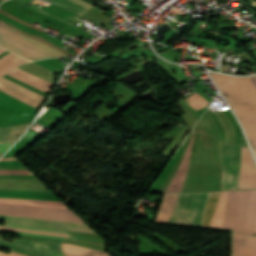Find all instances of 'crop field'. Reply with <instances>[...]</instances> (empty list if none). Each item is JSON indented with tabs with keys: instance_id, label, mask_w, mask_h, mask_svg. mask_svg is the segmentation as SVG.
<instances>
[{
	"instance_id": "8a807250",
	"label": "crop field",
	"mask_w": 256,
	"mask_h": 256,
	"mask_svg": "<svg viewBox=\"0 0 256 256\" xmlns=\"http://www.w3.org/2000/svg\"><path fill=\"white\" fill-rule=\"evenodd\" d=\"M235 110L252 147H256V76L233 77L210 73Z\"/></svg>"
},
{
	"instance_id": "ac0d7876",
	"label": "crop field",
	"mask_w": 256,
	"mask_h": 256,
	"mask_svg": "<svg viewBox=\"0 0 256 256\" xmlns=\"http://www.w3.org/2000/svg\"><path fill=\"white\" fill-rule=\"evenodd\" d=\"M256 223V190L229 191L223 228L253 235Z\"/></svg>"
},
{
	"instance_id": "34b2d1b8",
	"label": "crop field",
	"mask_w": 256,
	"mask_h": 256,
	"mask_svg": "<svg viewBox=\"0 0 256 256\" xmlns=\"http://www.w3.org/2000/svg\"><path fill=\"white\" fill-rule=\"evenodd\" d=\"M208 193L179 194L169 222L201 226Z\"/></svg>"
},
{
	"instance_id": "412701ff",
	"label": "crop field",
	"mask_w": 256,
	"mask_h": 256,
	"mask_svg": "<svg viewBox=\"0 0 256 256\" xmlns=\"http://www.w3.org/2000/svg\"><path fill=\"white\" fill-rule=\"evenodd\" d=\"M0 215L26 216L50 220L83 222L69 209L60 208L0 204Z\"/></svg>"
},
{
	"instance_id": "f4fd0767",
	"label": "crop field",
	"mask_w": 256,
	"mask_h": 256,
	"mask_svg": "<svg viewBox=\"0 0 256 256\" xmlns=\"http://www.w3.org/2000/svg\"><path fill=\"white\" fill-rule=\"evenodd\" d=\"M0 247L27 256H65L60 243L15 239L12 242L1 240Z\"/></svg>"
},
{
	"instance_id": "dd49c442",
	"label": "crop field",
	"mask_w": 256,
	"mask_h": 256,
	"mask_svg": "<svg viewBox=\"0 0 256 256\" xmlns=\"http://www.w3.org/2000/svg\"><path fill=\"white\" fill-rule=\"evenodd\" d=\"M239 146L222 147V187L221 190L237 189L240 169Z\"/></svg>"
},
{
	"instance_id": "e52e79f7",
	"label": "crop field",
	"mask_w": 256,
	"mask_h": 256,
	"mask_svg": "<svg viewBox=\"0 0 256 256\" xmlns=\"http://www.w3.org/2000/svg\"><path fill=\"white\" fill-rule=\"evenodd\" d=\"M6 223L38 227V228L72 230V231H80V232L97 234L91 228H89L85 223L50 221V220L23 218V217H10V216H6Z\"/></svg>"
},
{
	"instance_id": "d8731c3e",
	"label": "crop field",
	"mask_w": 256,
	"mask_h": 256,
	"mask_svg": "<svg viewBox=\"0 0 256 256\" xmlns=\"http://www.w3.org/2000/svg\"><path fill=\"white\" fill-rule=\"evenodd\" d=\"M0 46L31 60L42 59L46 57H53L47 53H44L36 48L21 43L3 33L0 32Z\"/></svg>"
},
{
	"instance_id": "5a996713",
	"label": "crop field",
	"mask_w": 256,
	"mask_h": 256,
	"mask_svg": "<svg viewBox=\"0 0 256 256\" xmlns=\"http://www.w3.org/2000/svg\"><path fill=\"white\" fill-rule=\"evenodd\" d=\"M256 188V167L248 148L242 147L238 189Z\"/></svg>"
},
{
	"instance_id": "3316defc",
	"label": "crop field",
	"mask_w": 256,
	"mask_h": 256,
	"mask_svg": "<svg viewBox=\"0 0 256 256\" xmlns=\"http://www.w3.org/2000/svg\"><path fill=\"white\" fill-rule=\"evenodd\" d=\"M232 256H256V237L233 233Z\"/></svg>"
},
{
	"instance_id": "28ad6ade",
	"label": "crop field",
	"mask_w": 256,
	"mask_h": 256,
	"mask_svg": "<svg viewBox=\"0 0 256 256\" xmlns=\"http://www.w3.org/2000/svg\"><path fill=\"white\" fill-rule=\"evenodd\" d=\"M8 75H10L28 85H31L37 89L43 90L47 93L50 91V89L53 86V83H50L48 81L42 80L38 77H35V76L19 69L18 67L13 69L11 72H9Z\"/></svg>"
},
{
	"instance_id": "d1516ede",
	"label": "crop field",
	"mask_w": 256,
	"mask_h": 256,
	"mask_svg": "<svg viewBox=\"0 0 256 256\" xmlns=\"http://www.w3.org/2000/svg\"><path fill=\"white\" fill-rule=\"evenodd\" d=\"M0 31L10 35L11 37H13V38H15L17 40H20V41L25 42V43H27L29 45H32V46H34L36 48H39V49H41V50H43L45 52H48V53L52 54L55 57L65 56L63 53H61L59 51H56V50L48 47L47 45H45V44H43V43H41V42H39L37 40H34L32 38H29V37H26L24 35H21V34L13 31L11 29H8V28L2 26V25H0Z\"/></svg>"
},
{
	"instance_id": "22f410ed",
	"label": "crop field",
	"mask_w": 256,
	"mask_h": 256,
	"mask_svg": "<svg viewBox=\"0 0 256 256\" xmlns=\"http://www.w3.org/2000/svg\"><path fill=\"white\" fill-rule=\"evenodd\" d=\"M178 193L164 194L155 221L167 223Z\"/></svg>"
},
{
	"instance_id": "cbeb9de0",
	"label": "crop field",
	"mask_w": 256,
	"mask_h": 256,
	"mask_svg": "<svg viewBox=\"0 0 256 256\" xmlns=\"http://www.w3.org/2000/svg\"><path fill=\"white\" fill-rule=\"evenodd\" d=\"M62 248L67 256H109L108 254L101 251L64 243H62Z\"/></svg>"
},
{
	"instance_id": "5142ce71",
	"label": "crop field",
	"mask_w": 256,
	"mask_h": 256,
	"mask_svg": "<svg viewBox=\"0 0 256 256\" xmlns=\"http://www.w3.org/2000/svg\"><path fill=\"white\" fill-rule=\"evenodd\" d=\"M222 192H210L202 226L209 227Z\"/></svg>"
},
{
	"instance_id": "d9b57169",
	"label": "crop field",
	"mask_w": 256,
	"mask_h": 256,
	"mask_svg": "<svg viewBox=\"0 0 256 256\" xmlns=\"http://www.w3.org/2000/svg\"><path fill=\"white\" fill-rule=\"evenodd\" d=\"M28 60L21 58L12 53L6 54L4 57L0 59V77L13 69L14 67L26 62Z\"/></svg>"
},
{
	"instance_id": "733c2abd",
	"label": "crop field",
	"mask_w": 256,
	"mask_h": 256,
	"mask_svg": "<svg viewBox=\"0 0 256 256\" xmlns=\"http://www.w3.org/2000/svg\"><path fill=\"white\" fill-rule=\"evenodd\" d=\"M228 191L222 193L210 227L222 228Z\"/></svg>"
},
{
	"instance_id": "4a817a6b",
	"label": "crop field",
	"mask_w": 256,
	"mask_h": 256,
	"mask_svg": "<svg viewBox=\"0 0 256 256\" xmlns=\"http://www.w3.org/2000/svg\"><path fill=\"white\" fill-rule=\"evenodd\" d=\"M29 124L0 128V141L19 138Z\"/></svg>"
},
{
	"instance_id": "bc2a9ffb",
	"label": "crop field",
	"mask_w": 256,
	"mask_h": 256,
	"mask_svg": "<svg viewBox=\"0 0 256 256\" xmlns=\"http://www.w3.org/2000/svg\"><path fill=\"white\" fill-rule=\"evenodd\" d=\"M49 1H51L52 3L66 9L70 12L76 13L80 16L89 10L87 8H84V7L74 3L71 0H49Z\"/></svg>"
},
{
	"instance_id": "214f88e0",
	"label": "crop field",
	"mask_w": 256,
	"mask_h": 256,
	"mask_svg": "<svg viewBox=\"0 0 256 256\" xmlns=\"http://www.w3.org/2000/svg\"><path fill=\"white\" fill-rule=\"evenodd\" d=\"M0 90L5 92L6 94L18 99V100L26 103V104L34 107V108H36V106L38 105V102H36V101H34V100H32V99H30V98H28V97H26V96H24L20 93L8 88L7 86L3 85L2 83H0Z\"/></svg>"
},
{
	"instance_id": "92a150f3",
	"label": "crop field",
	"mask_w": 256,
	"mask_h": 256,
	"mask_svg": "<svg viewBox=\"0 0 256 256\" xmlns=\"http://www.w3.org/2000/svg\"><path fill=\"white\" fill-rule=\"evenodd\" d=\"M0 81L5 83V84H7L11 88H13V89H15L17 91H20V92H22V93H24V94H26V95H28V96L38 100V101H40V102L44 99L43 96H41V95H39V94L29 90V89H26V88H24V87H22V86H20V85H18L16 83H14V82H11V81L3 78V77L0 78Z\"/></svg>"
},
{
	"instance_id": "dafd665d",
	"label": "crop field",
	"mask_w": 256,
	"mask_h": 256,
	"mask_svg": "<svg viewBox=\"0 0 256 256\" xmlns=\"http://www.w3.org/2000/svg\"><path fill=\"white\" fill-rule=\"evenodd\" d=\"M189 100L190 103H188L192 108H194L195 110L202 108L204 106L208 105V101H206L204 98H202L199 94H197L196 92L193 93L191 96H189L187 98ZM185 99V100H187ZM184 100V101H185Z\"/></svg>"
},
{
	"instance_id": "00972430",
	"label": "crop field",
	"mask_w": 256,
	"mask_h": 256,
	"mask_svg": "<svg viewBox=\"0 0 256 256\" xmlns=\"http://www.w3.org/2000/svg\"><path fill=\"white\" fill-rule=\"evenodd\" d=\"M0 23L3 24V25H5V26L8 27V28H11V29H13V30H15V31H17V32H19V33H21V34H24V35L29 36V37H32V38H34V39L40 40V41L44 42L45 44L49 45L50 47H52V48H54V49H57V50L63 52V53H64L65 55H67V56L74 55V54H72V53H70V52H68V51H66V50H64V49H61V48H59V47H57V46H55V45H53V44H51V43H49V42L43 40V39H40V38L35 37V36H32V35H30V34H27V33L23 32V31L17 29V28H14V27H12V26L6 24L5 22H3V21H1V20H0Z\"/></svg>"
},
{
	"instance_id": "a9b5d70f",
	"label": "crop field",
	"mask_w": 256,
	"mask_h": 256,
	"mask_svg": "<svg viewBox=\"0 0 256 256\" xmlns=\"http://www.w3.org/2000/svg\"><path fill=\"white\" fill-rule=\"evenodd\" d=\"M0 175H33L28 170H0Z\"/></svg>"
},
{
	"instance_id": "4177f3b9",
	"label": "crop field",
	"mask_w": 256,
	"mask_h": 256,
	"mask_svg": "<svg viewBox=\"0 0 256 256\" xmlns=\"http://www.w3.org/2000/svg\"><path fill=\"white\" fill-rule=\"evenodd\" d=\"M0 200L22 201V202H35V203H47V204H58V205H62L61 202H49V201H35V200L8 199V198H0Z\"/></svg>"
},
{
	"instance_id": "730fd06b",
	"label": "crop field",
	"mask_w": 256,
	"mask_h": 256,
	"mask_svg": "<svg viewBox=\"0 0 256 256\" xmlns=\"http://www.w3.org/2000/svg\"><path fill=\"white\" fill-rule=\"evenodd\" d=\"M0 228H2V229L16 230V231H24V232H31V233H39V234H48V235H55V236L67 237V235H63V234H54V233L39 232V231L24 230V229H16V228H5V227H0Z\"/></svg>"
},
{
	"instance_id": "eef30255",
	"label": "crop field",
	"mask_w": 256,
	"mask_h": 256,
	"mask_svg": "<svg viewBox=\"0 0 256 256\" xmlns=\"http://www.w3.org/2000/svg\"><path fill=\"white\" fill-rule=\"evenodd\" d=\"M6 227H16V228H24V229H32V230H40V231H47V232H54V233H63L66 234L63 231H58V230H47V229H38V228H31V227H23V226H15V225H2Z\"/></svg>"
},
{
	"instance_id": "ae1a2a85",
	"label": "crop field",
	"mask_w": 256,
	"mask_h": 256,
	"mask_svg": "<svg viewBox=\"0 0 256 256\" xmlns=\"http://www.w3.org/2000/svg\"><path fill=\"white\" fill-rule=\"evenodd\" d=\"M0 203H11V204L37 205V206H47V207H60V208H65L64 206H57V205L34 204V203H20V202H9V201H0Z\"/></svg>"
},
{
	"instance_id": "d3111659",
	"label": "crop field",
	"mask_w": 256,
	"mask_h": 256,
	"mask_svg": "<svg viewBox=\"0 0 256 256\" xmlns=\"http://www.w3.org/2000/svg\"><path fill=\"white\" fill-rule=\"evenodd\" d=\"M4 77H6V78H8V79H10V80H12V81H14V82L20 84V85H23V86H25V87H27V88L33 90V91H36V92H38V93H40V94H42V95H44V96L46 95V93H44V92H42V91H40V90L34 89V88H32V87H30V86H28V85H26V84H24V83H22V82H20V81H18V80H15V79H13V78L7 76V75H5Z\"/></svg>"
},
{
	"instance_id": "750c4746",
	"label": "crop field",
	"mask_w": 256,
	"mask_h": 256,
	"mask_svg": "<svg viewBox=\"0 0 256 256\" xmlns=\"http://www.w3.org/2000/svg\"><path fill=\"white\" fill-rule=\"evenodd\" d=\"M0 231L15 232V233H19V234L33 235V236H42V237H50V238L64 239V238H62V237H55V236H48V235H39V234L23 233V232L8 231V230H0Z\"/></svg>"
},
{
	"instance_id": "bd1437ed",
	"label": "crop field",
	"mask_w": 256,
	"mask_h": 256,
	"mask_svg": "<svg viewBox=\"0 0 256 256\" xmlns=\"http://www.w3.org/2000/svg\"><path fill=\"white\" fill-rule=\"evenodd\" d=\"M13 143L14 142L0 145V151H6Z\"/></svg>"
},
{
	"instance_id": "1d83c4d3",
	"label": "crop field",
	"mask_w": 256,
	"mask_h": 256,
	"mask_svg": "<svg viewBox=\"0 0 256 256\" xmlns=\"http://www.w3.org/2000/svg\"><path fill=\"white\" fill-rule=\"evenodd\" d=\"M73 1H75V2H77V3H79V4H81V5H83V6L87 7V8H89V9L92 7V5L86 3V2H84V1H82V0H73Z\"/></svg>"
},
{
	"instance_id": "120bbe31",
	"label": "crop field",
	"mask_w": 256,
	"mask_h": 256,
	"mask_svg": "<svg viewBox=\"0 0 256 256\" xmlns=\"http://www.w3.org/2000/svg\"><path fill=\"white\" fill-rule=\"evenodd\" d=\"M0 12H2V13H4V14H6V15H8V16H10V17H12V18H14V19H16V20H18V21H21V20H19V19L15 18V17H13V16H11V15H9V14H7V13H5V12L1 11V10H0ZM21 22H23V21H21ZM23 23H25V22H23ZM25 24H27V23H25ZM27 25H29V26H31V27H33V28H35V29H38V30H41V31H43V32H44V30L39 29V28H37V27H34V26L30 25V24H27Z\"/></svg>"
},
{
	"instance_id": "d32e631a",
	"label": "crop field",
	"mask_w": 256,
	"mask_h": 256,
	"mask_svg": "<svg viewBox=\"0 0 256 256\" xmlns=\"http://www.w3.org/2000/svg\"><path fill=\"white\" fill-rule=\"evenodd\" d=\"M0 256H23V255H18V254H15L13 252L9 253V254H4V253H1L0 252Z\"/></svg>"
},
{
	"instance_id": "5866460e",
	"label": "crop field",
	"mask_w": 256,
	"mask_h": 256,
	"mask_svg": "<svg viewBox=\"0 0 256 256\" xmlns=\"http://www.w3.org/2000/svg\"><path fill=\"white\" fill-rule=\"evenodd\" d=\"M252 150H253L254 156L256 158V149H252Z\"/></svg>"
},
{
	"instance_id": "028f5c9d",
	"label": "crop field",
	"mask_w": 256,
	"mask_h": 256,
	"mask_svg": "<svg viewBox=\"0 0 256 256\" xmlns=\"http://www.w3.org/2000/svg\"><path fill=\"white\" fill-rule=\"evenodd\" d=\"M4 51H6V50L0 48V54L3 53Z\"/></svg>"
},
{
	"instance_id": "e1f06a70",
	"label": "crop field",
	"mask_w": 256,
	"mask_h": 256,
	"mask_svg": "<svg viewBox=\"0 0 256 256\" xmlns=\"http://www.w3.org/2000/svg\"><path fill=\"white\" fill-rule=\"evenodd\" d=\"M7 52H8V51H6V52H4L3 54H1L0 57L3 56L4 54H6Z\"/></svg>"
},
{
	"instance_id": "0bd39190",
	"label": "crop field",
	"mask_w": 256,
	"mask_h": 256,
	"mask_svg": "<svg viewBox=\"0 0 256 256\" xmlns=\"http://www.w3.org/2000/svg\"><path fill=\"white\" fill-rule=\"evenodd\" d=\"M4 152H1L0 155H2Z\"/></svg>"
}]
</instances>
